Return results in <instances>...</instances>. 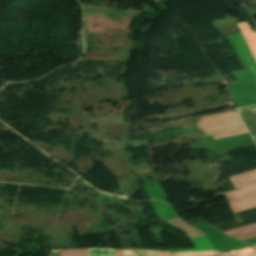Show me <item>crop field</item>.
<instances>
[{
  "label": "crop field",
  "mask_w": 256,
  "mask_h": 256,
  "mask_svg": "<svg viewBox=\"0 0 256 256\" xmlns=\"http://www.w3.org/2000/svg\"><path fill=\"white\" fill-rule=\"evenodd\" d=\"M115 256H153V251L140 249L115 250Z\"/></svg>",
  "instance_id": "crop-field-6"
},
{
  "label": "crop field",
  "mask_w": 256,
  "mask_h": 256,
  "mask_svg": "<svg viewBox=\"0 0 256 256\" xmlns=\"http://www.w3.org/2000/svg\"><path fill=\"white\" fill-rule=\"evenodd\" d=\"M191 241L193 242V244L195 245V247L197 249L175 250V251H169V253H172V252H192V251L214 250L211 242L208 240V238L206 236L192 238Z\"/></svg>",
  "instance_id": "crop-field-5"
},
{
  "label": "crop field",
  "mask_w": 256,
  "mask_h": 256,
  "mask_svg": "<svg viewBox=\"0 0 256 256\" xmlns=\"http://www.w3.org/2000/svg\"><path fill=\"white\" fill-rule=\"evenodd\" d=\"M238 28L240 29L241 33L243 34L255 60H256V33L252 32L249 25L244 22L237 24Z\"/></svg>",
  "instance_id": "crop-field-4"
},
{
  "label": "crop field",
  "mask_w": 256,
  "mask_h": 256,
  "mask_svg": "<svg viewBox=\"0 0 256 256\" xmlns=\"http://www.w3.org/2000/svg\"><path fill=\"white\" fill-rule=\"evenodd\" d=\"M60 256H88V249L60 250Z\"/></svg>",
  "instance_id": "crop-field-8"
},
{
  "label": "crop field",
  "mask_w": 256,
  "mask_h": 256,
  "mask_svg": "<svg viewBox=\"0 0 256 256\" xmlns=\"http://www.w3.org/2000/svg\"><path fill=\"white\" fill-rule=\"evenodd\" d=\"M235 52L237 53L244 68H247L251 78L256 83V63L241 35V33H235L227 35Z\"/></svg>",
  "instance_id": "crop-field-3"
},
{
  "label": "crop field",
  "mask_w": 256,
  "mask_h": 256,
  "mask_svg": "<svg viewBox=\"0 0 256 256\" xmlns=\"http://www.w3.org/2000/svg\"><path fill=\"white\" fill-rule=\"evenodd\" d=\"M252 183H256V176L233 182V185L235 186V188H238Z\"/></svg>",
  "instance_id": "crop-field-12"
},
{
  "label": "crop field",
  "mask_w": 256,
  "mask_h": 256,
  "mask_svg": "<svg viewBox=\"0 0 256 256\" xmlns=\"http://www.w3.org/2000/svg\"><path fill=\"white\" fill-rule=\"evenodd\" d=\"M243 133H247L246 128L228 132V133L219 134V135H214L213 138H214V140H217V139L235 136V135H239V134H243Z\"/></svg>",
  "instance_id": "crop-field-10"
},
{
  "label": "crop field",
  "mask_w": 256,
  "mask_h": 256,
  "mask_svg": "<svg viewBox=\"0 0 256 256\" xmlns=\"http://www.w3.org/2000/svg\"><path fill=\"white\" fill-rule=\"evenodd\" d=\"M256 170H252V171H249V172H246V173H243V174H239V175H235V176H231L229 177V179L231 178H235V177H238V176H242V175H245V174H248V173H252V172H255Z\"/></svg>",
  "instance_id": "crop-field-18"
},
{
  "label": "crop field",
  "mask_w": 256,
  "mask_h": 256,
  "mask_svg": "<svg viewBox=\"0 0 256 256\" xmlns=\"http://www.w3.org/2000/svg\"><path fill=\"white\" fill-rule=\"evenodd\" d=\"M89 256H114V250L89 249Z\"/></svg>",
  "instance_id": "crop-field-9"
},
{
  "label": "crop field",
  "mask_w": 256,
  "mask_h": 256,
  "mask_svg": "<svg viewBox=\"0 0 256 256\" xmlns=\"http://www.w3.org/2000/svg\"><path fill=\"white\" fill-rule=\"evenodd\" d=\"M197 127L203 137H206L243 128L244 125L237 111L232 110L215 115L202 116L198 120Z\"/></svg>",
  "instance_id": "crop-field-1"
},
{
  "label": "crop field",
  "mask_w": 256,
  "mask_h": 256,
  "mask_svg": "<svg viewBox=\"0 0 256 256\" xmlns=\"http://www.w3.org/2000/svg\"><path fill=\"white\" fill-rule=\"evenodd\" d=\"M230 252L237 256H256V251H254L253 249H251L249 247L242 249V250L230 251Z\"/></svg>",
  "instance_id": "crop-field-11"
},
{
  "label": "crop field",
  "mask_w": 256,
  "mask_h": 256,
  "mask_svg": "<svg viewBox=\"0 0 256 256\" xmlns=\"http://www.w3.org/2000/svg\"><path fill=\"white\" fill-rule=\"evenodd\" d=\"M233 212L256 206V184L225 193Z\"/></svg>",
  "instance_id": "crop-field-2"
},
{
  "label": "crop field",
  "mask_w": 256,
  "mask_h": 256,
  "mask_svg": "<svg viewBox=\"0 0 256 256\" xmlns=\"http://www.w3.org/2000/svg\"><path fill=\"white\" fill-rule=\"evenodd\" d=\"M234 237L239 239V240L256 237V231L255 232L246 233V234H242V235H238V236H234Z\"/></svg>",
  "instance_id": "crop-field-13"
},
{
  "label": "crop field",
  "mask_w": 256,
  "mask_h": 256,
  "mask_svg": "<svg viewBox=\"0 0 256 256\" xmlns=\"http://www.w3.org/2000/svg\"><path fill=\"white\" fill-rule=\"evenodd\" d=\"M154 256H176V254H168L164 251H154Z\"/></svg>",
  "instance_id": "crop-field-14"
},
{
  "label": "crop field",
  "mask_w": 256,
  "mask_h": 256,
  "mask_svg": "<svg viewBox=\"0 0 256 256\" xmlns=\"http://www.w3.org/2000/svg\"><path fill=\"white\" fill-rule=\"evenodd\" d=\"M216 255H217V256H235V255H233V254H231V253H229V252L220 253V252H218V251H217Z\"/></svg>",
  "instance_id": "crop-field-16"
},
{
  "label": "crop field",
  "mask_w": 256,
  "mask_h": 256,
  "mask_svg": "<svg viewBox=\"0 0 256 256\" xmlns=\"http://www.w3.org/2000/svg\"><path fill=\"white\" fill-rule=\"evenodd\" d=\"M49 256H59V250H52Z\"/></svg>",
  "instance_id": "crop-field-17"
},
{
  "label": "crop field",
  "mask_w": 256,
  "mask_h": 256,
  "mask_svg": "<svg viewBox=\"0 0 256 256\" xmlns=\"http://www.w3.org/2000/svg\"><path fill=\"white\" fill-rule=\"evenodd\" d=\"M255 249H256V244L255 245H252Z\"/></svg>",
  "instance_id": "crop-field-19"
},
{
  "label": "crop field",
  "mask_w": 256,
  "mask_h": 256,
  "mask_svg": "<svg viewBox=\"0 0 256 256\" xmlns=\"http://www.w3.org/2000/svg\"><path fill=\"white\" fill-rule=\"evenodd\" d=\"M255 230H256V223L238 227V228H235V229L223 232V233L234 236V235H238V234H242V233H246V232H250V231H255Z\"/></svg>",
  "instance_id": "crop-field-7"
},
{
  "label": "crop field",
  "mask_w": 256,
  "mask_h": 256,
  "mask_svg": "<svg viewBox=\"0 0 256 256\" xmlns=\"http://www.w3.org/2000/svg\"><path fill=\"white\" fill-rule=\"evenodd\" d=\"M253 175H256V172L252 173V174H248V175L242 176V177H239V178L232 179L231 182L239 180V179H243V178H246V177H249V176H253Z\"/></svg>",
  "instance_id": "crop-field-15"
}]
</instances>
